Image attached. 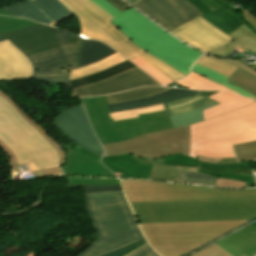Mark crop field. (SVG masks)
Here are the masks:
<instances>
[{"instance_id": "28ad6ade", "label": "crop field", "mask_w": 256, "mask_h": 256, "mask_svg": "<svg viewBox=\"0 0 256 256\" xmlns=\"http://www.w3.org/2000/svg\"><path fill=\"white\" fill-rule=\"evenodd\" d=\"M134 6L169 31L203 15L186 0H140Z\"/></svg>"}, {"instance_id": "5142ce71", "label": "crop field", "mask_w": 256, "mask_h": 256, "mask_svg": "<svg viewBox=\"0 0 256 256\" xmlns=\"http://www.w3.org/2000/svg\"><path fill=\"white\" fill-rule=\"evenodd\" d=\"M172 33L205 52L233 40L201 17L179 27Z\"/></svg>"}, {"instance_id": "92a150f3", "label": "crop field", "mask_w": 256, "mask_h": 256, "mask_svg": "<svg viewBox=\"0 0 256 256\" xmlns=\"http://www.w3.org/2000/svg\"><path fill=\"white\" fill-rule=\"evenodd\" d=\"M234 39L233 42L220 46L210 53L215 55L230 56L235 50L241 54H246L248 51L256 52V32L252 30L247 23L243 24L230 35Z\"/></svg>"}, {"instance_id": "eef30255", "label": "crop field", "mask_w": 256, "mask_h": 256, "mask_svg": "<svg viewBox=\"0 0 256 256\" xmlns=\"http://www.w3.org/2000/svg\"><path fill=\"white\" fill-rule=\"evenodd\" d=\"M168 88H163V87L138 88V89L124 92V93L108 95L107 100H108V104L116 103V102L130 101V100H135V99L151 96L153 94L168 90Z\"/></svg>"}, {"instance_id": "03da06ac", "label": "crop field", "mask_w": 256, "mask_h": 256, "mask_svg": "<svg viewBox=\"0 0 256 256\" xmlns=\"http://www.w3.org/2000/svg\"><path fill=\"white\" fill-rule=\"evenodd\" d=\"M215 186L241 188L246 187V184L245 182L239 180L217 178Z\"/></svg>"}, {"instance_id": "0765c3eb", "label": "crop field", "mask_w": 256, "mask_h": 256, "mask_svg": "<svg viewBox=\"0 0 256 256\" xmlns=\"http://www.w3.org/2000/svg\"><path fill=\"white\" fill-rule=\"evenodd\" d=\"M0 7H2L1 0H0Z\"/></svg>"}, {"instance_id": "bd1437ed", "label": "crop field", "mask_w": 256, "mask_h": 256, "mask_svg": "<svg viewBox=\"0 0 256 256\" xmlns=\"http://www.w3.org/2000/svg\"><path fill=\"white\" fill-rule=\"evenodd\" d=\"M197 64L207 67L209 69H212L214 71H217L227 77H230L238 69V67L228 62L214 59V58L208 57L207 55L203 56L197 62Z\"/></svg>"}, {"instance_id": "8a807250", "label": "crop field", "mask_w": 256, "mask_h": 256, "mask_svg": "<svg viewBox=\"0 0 256 256\" xmlns=\"http://www.w3.org/2000/svg\"><path fill=\"white\" fill-rule=\"evenodd\" d=\"M121 181L144 235L163 256H182L256 218V189Z\"/></svg>"}, {"instance_id": "b54c1fbb", "label": "crop field", "mask_w": 256, "mask_h": 256, "mask_svg": "<svg viewBox=\"0 0 256 256\" xmlns=\"http://www.w3.org/2000/svg\"><path fill=\"white\" fill-rule=\"evenodd\" d=\"M235 13L240 15L245 20V22H247L249 24V26L256 31V17H254L253 15L249 14L244 9H241V10L235 12Z\"/></svg>"}, {"instance_id": "dd49c442", "label": "crop field", "mask_w": 256, "mask_h": 256, "mask_svg": "<svg viewBox=\"0 0 256 256\" xmlns=\"http://www.w3.org/2000/svg\"><path fill=\"white\" fill-rule=\"evenodd\" d=\"M111 22L146 52L186 76L190 73L189 67L201 56L131 8Z\"/></svg>"}, {"instance_id": "4177f3b9", "label": "crop field", "mask_w": 256, "mask_h": 256, "mask_svg": "<svg viewBox=\"0 0 256 256\" xmlns=\"http://www.w3.org/2000/svg\"><path fill=\"white\" fill-rule=\"evenodd\" d=\"M102 162L118 177L149 179L152 165L105 161Z\"/></svg>"}, {"instance_id": "733c2abd", "label": "crop field", "mask_w": 256, "mask_h": 256, "mask_svg": "<svg viewBox=\"0 0 256 256\" xmlns=\"http://www.w3.org/2000/svg\"><path fill=\"white\" fill-rule=\"evenodd\" d=\"M256 243V223L191 256H246L243 252Z\"/></svg>"}, {"instance_id": "e1f06a70", "label": "crop field", "mask_w": 256, "mask_h": 256, "mask_svg": "<svg viewBox=\"0 0 256 256\" xmlns=\"http://www.w3.org/2000/svg\"><path fill=\"white\" fill-rule=\"evenodd\" d=\"M150 179L175 181V166L153 165V170Z\"/></svg>"}, {"instance_id": "dbb93151", "label": "crop field", "mask_w": 256, "mask_h": 256, "mask_svg": "<svg viewBox=\"0 0 256 256\" xmlns=\"http://www.w3.org/2000/svg\"><path fill=\"white\" fill-rule=\"evenodd\" d=\"M178 169H182V170H188V171H194L197 172L198 168H194V167H183V166H176V179H177V173H178Z\"/></svg>"}, {"instance_id": "1f2cbd36", "label": "crop field", "mask_w": 256, "mask_h": 256, "mask_svg": "<svg viewBox=\"0 0 256 256\" xmlns=\"http://www.w3.org/2000/svg\"><path fill=\"white\" fill-rule=\"evenodd\" d=\"M139 256H160L152 248L140 254Z\"/></svg>"}, {"instance_id": "34b2d1b8", "label": "crop field", "mask_w": 256, "mask_h": 256, "mask_svg": "<svg viewBox=\"0 0 256 256\" xmlns=\"http://www.w3.org/2000/svg\"><path fill=\"white\" fill-rule=\"evenodd\" d=\"M6 39L33 64L34 79L69 87L68 73H63L62 68L76 65L82 38L65 30L51 29L40 24L0 35V41Z\"/></svg>"}, {"instance_id": "028f5c9d", "label": "crop field", "mask_w": 256, "mask_h": 256, "mask_svg": "<svg viewBox=\"0 0 256 256\" xmlns=\"http://www.w3.org/2000/svg\"><path fill=\"white\" fill-rule=\"evenodd\" d=\"M233 147L240 162L256 158V141Z\"/></svg>"}, {"instance_id": "e52e79f7", "label": "crop field", "mask_w": 256, "mask_h": 256, "mask_svg": "<svg viewBox=\"0 0 256 256\" xmlns=\"http://www.w3.org/2000/svg\"><path fill=\"white\" fill-rule=\"evenodd\" d=\"M62 1L77 15L80 24V36L104 41L130 60L139 56L173 81L186 77L163 61L147 54L129 40L121 30L110 23L114 17L95 3L90 0Z\"/></svg>"}, {"instance_id": "5a996713", "label": "crop field", "mask_w": 256, "mask_h": 256, "mask_svg": "<svg viewBox=\"0 0 256 256\" xmlns=\"http://www.w3.org/2000/svg\"><path fill=\"white\" fill-rule=\"evenodd\" d=\"M103 146L105 148L104 156L127 153H131L134 157L147 159H157L176 153L189 156L190 129L187 126L163 130L125 142Z\"/></svg>"}, {"instance_id": "00972430", "label": "crop field", "mask_w": 256, "mask_h": 256, "mask_svg": "<svg viewBox=\"0 0 256 256\" xmlns=\"http://www.w3.org/2000/svg\"><path fill=\"white\" fill-rule=\"evenodd\" d=\"M209 98L216 100L222 104L209 108L207 110H204L203 111L204 120L254 102L250 99L243 98L230 93H224V92H218L210 96Z\"/></svg>"}, {"instance_id": "cbeb9de0", "label": "crop field", "mask_w": 256, "mask_h": 256, "mask_svg": "<svg viewBox=\"0 0 256 256\" xmlns=\"http://www.w3.org/2000/svg\"><path fill=\"white\" fill-rule=\"evenodd\" d=\"M4 9L17 16L49 25L73 15L59 0H27Z\"/></svg>"}, {"instance_id": "a9b5d70f", "label": "crop field", "mask_w": 256, "mask_h": 256, "mask_svg": "<svg viewBox=\"0 0 256 256\" xmlns=\"http://www.w3.org/2000/svg\"><path fill=\"white\" fill-rule=\"evenodd\" d=\"M114 53L116 52L113 49L101 42L84 40L81 56L75 68L99 62Z\"/></svg>"}, {"instance_id": "5866460e", "label": "crop field", "mask_w": 256, "mask_h": 256, "mask_svg": "<svg viewBox=\"0 0 256 256\" xmlns=\"http://www.w3.org/2000/svg\"><path fill=\"white\" fill-rule=\"evenodd\" d=\"M160 110H164V107L162 104L140 108V109L128 110V111L113 112L109 114L111 118H113V120L116 121V120L136 118L137 117L136 114L160 111Z\"/></svg>"}, {"instance_id": "1d83c4d3", "label": "crop field", "mask_w": 256, "mask_h": 256, "mask_svg": "<svg viewBox=\"0 0 256 256\" xmlns=\"http://www.w3.org/2000/svg\"><path fill=\"white\" fill-rule=\"evenodd\" d=\"M227 81L256 95V77L246 73L240 68L230 78H228Z\"/></svg>"}, {"instance_id": "c21b1889", "label": "crop field", "mask_w": 256, "mask_h": 256, "mask_svg": "<svg viewBox=\"0 0 256 256\" xmlns=\"http://www.w3.org/2000/svg\"><path fill=\"white\" fill-rule=\"evenodd\" d=\"M145 242H147V241L145 240V238H143V239H141V240H138V241H136V242H134V243H131V244H129V245H126V246H124V247H121V248H119V249H117V250H114V251L109 252V253H107V254H105V255H102V256H122V255H124L125 253L129 252L130 250H132V249L138 247L139 245H141V244H143V243H145Z\"/></svg>"}, {"instance_id": "25e5ab78", "label": "crop field", "mask_w": 256, "mask_h": 256, "mask_svg": "<svg viewBox=\"0 0 256 256\" xmlns=\"http://www.w3.org/2000/svg\"><path fill=\"white\" fill-rule=\"evenodd\" d=\"M148 248H150L148 243H145L141 246H139L138 248L130 251L129 253L125 254L124 256H136L140 253H142L143 251L147 250Z\"/></svg>"}, {"instance_id": "750c4746", "label": "crop field", "mask_w": 256, "mask_h": 256, "mask_svg": "<svg viewBox=\"0 0 256 256\" xmlns=\"http://www.w3.org/2000/svg\"><path fill=\"white\" fill-rule=\"evenodd\" d=\"M192 70L197 73H200L201 75H203V76H205V77H207V78H209V79H211V80H213V81H215V82H217V83H219V84H221V85H223V86H225L243 96H246V97L256 100V97L251 95L250 93H248L242 89H239L230 83L225 82L227 77H225L217 72H214L212 70H209V69L199 66L197 64H195L193 66Z\"/></svg>"}, {"instance_id": "3316defc", "label": "crop field", "mask_w": 256, "mask_h": 256, "mask_svg": "<svg viewBox=\"0 0 256 256\" xmlns=\"http://www.w3.org/2000/svg\"><path fill=\"white\" fill-rule=\"evenodd\" d=\"M105 160L124 161V162H137L146 164H158V165H183L199 167L198 172L208 174L213 177H225L232 179H239L246 181L247 186L255 185L254 180L250 179L251 170L247 163L238 164H211L201 162L197 159L190 158L185 155L176 154L170 157L147 160L131 157L128 155H117L103 157Z\"/></svg>"}, {"instance_id": "c035e120", "label": "crop field", "mask_w": 256, "mask_h": 256, "mask_svg": "<svg viewBox=\"0 0 256 256\" xmlns=\"http://www.w3.org/2000/svg\"><path fill=\"white\" fill-rule=\"evenodd\" d=\"M68 187L83 188L84 189V193H90V192H109V191L122 190L121 185H114V186H80V185H69Z\"/></svg>"}, {"instance_id": "d3111659", "label": "crop field", "mask_w": 256, "mask_h": 256, "mask_svg": "<svg viewBox=\"0 0 256 256\" xmlns=\"http://www.w3.org/2000/svg\"><path fill=\"white\" fill-rule=\"evenodd\" d=\"M124 60H126V59H124L122 56H120L117 53L99 63L72 70L70 73V80L100 71L102 69L108 68V67L115 65L119 62H122Z\"/></svg>"}, {"instance_id": "b80d0937", "label": "crop field", "mask_w": 256, "mask_h": 256, "mask_svg": "<svg viewBox=\"0 0 256 256\" xmlns=\"http://www.w3.org/2000/svg\"><path fill=\"white\" fill-rule=\"evenodd\" d=\"M69 184L81 185H113L120 184L117 179L67 178Z\"/></svg>"}, {"instance_id": "5d738f31", "label": "crop field", "mask_w": 256, "mask_h": 256, "mask_svg": "<svg viewBox=\"0 0 256 256\" xmlns=\"http://www.w3.org/2000/svg\"><path fill=\"white\" fill-rule=\"evenodd\" d=\"M91 1L98 4L101 8H103L105 11H107L114 17L117 16L119 13H121L117 9H115L113 6H111L108 2H106L105 0H91Z\"/></svg>"}, {"instance_id": "412701ff", "label": "crop field", "mask_w": 256, "mask_h": 256, "mask_svg": "<svg viewBox=\"0 0 256 256\" xmlns=\"http://www.w3.org/2000/svg\"><path fill=\"white\" fill-rule=\"evenodd\" d=\"M98 238L77 256H100L143 238L123 191L85 194Z\"/></svg>"}, {"instance_id": "ac0d7876", "label": "crop field", "mask_w": 256, "mask_h": 256, "mask_svg": "<svg viewBox=\"0 0 256 256\" xmlns=\"http://www.w3.org/2000/svg\"><path fill=\"white\" fill-rule=\"evenodd\" d=\"M47 131L0 89V148L9 157L10 171L29 163L39 178L65 175L66 156Z\"/></svg>"}, {"instance_id": "447ae74e", "label": "crop field", "mask_w": 256, "mask_h": 256, "mask_svg": "<svg viewBox=\"0 0 256 256\" xmlns=\"http://www.w3.org/2000/svg\"><path fill=\"white\" fill-rule=\"evenodd\" d=\"M251 161H255V162H256V159H254V160H250V161H247V162H251Z\"/></svg>"}, {"instance_id": "bc2a9ffb", "label": "crop field", "mask_w": 256, "mask_h": 256, "mask_svg": "<svg viewBox=\"0 0 256 256\" xmlns=\"http://www.w3.org/2000/svg\"><path fill=\"white\" fill-rule=\"evenodd\" d=\"M67 150V160L63 167L66 175L115 177L98 160L84 156L74 150Z\"/></svg>"}, {"instance_id": "d8731c3e", "label": "crop field", "mask_w": 256, "mask_h": 256, "mask_svg": "<svg viewBox=\"0 0 256 256\" xmlns=\"http://www.w3.org/2000/svg\"><path fill=\"white\" fill-rule=\"evenodd\" d=\"M82 101L102 144L173 128L166 111L140 114L136 119L113 122L108 114L105 96L82 98Z\"/></svg>"}, {"instance_id": "1d79db26", "label": "crop field", "mask_w": 256, "mask_h": 256, "mask_svg": "<svg viewBox=\"0 0 256 256\" xmlns=\"http://www.w3.org/2000/svg\"><path fill=\"white\" fill-rule=\"evenodd\" d=\"M0 14L14 16V15L6 12L3 8H0ZM14 17H17V16H14Z\"/></svg>"}, {"instance_id": "ae1a2a85", "label": "crop field", "mask_w": 256, "mask_h": 256, "mask_svg": "<svg viewBox=\"0 0 256 256\" xmlns=\"http://www.w3.org/2000/svg\"><path fill=\"white\" fill-rule=\"evenodd\" d=\"M178 84H181L189 89H194V90H219V91H224V92H231L235 93L233 91H230L208 79L205 77L195 73L192 71V75L189 77L176 82Z\"/></svg>"}, {"instance_id": "120bbe31", "label": "crop field", "mask_w": 256, "mask_h": 256, "mask_svg": "<svg viewBox=\"0 0 256 256\" xmlns=\"http://www.w3.org/2000/svg\"><path fill=\"white\" fill-rule=\"evenodd\" d=\"M37 24L39 23H35L30 20L0 16V34L23 29Z\"/></svg>"}, {"instance_id": "0bd39190", "label": "crop field", "mask_w": 256, "mask_h": 256, "mask_svg": "<svg viewBox=\"0 0 256 256\" xmlns=\"http://www.w3.org/2000/svg\"><path fill=\"white\" fill-rule=\"evenodd\" d=\"M133 63H135L137 66H139L141 69L147 71L153 78L157 79L160 83L166 85L173 81L165 77L163 74L155 70L153 67H151L149 64H147L145 61L140 59L139 57L132 60ZM146 72V73H147Z\"/></svg>"}, {"instance_id": "f4fd0767", "label": "crop field", "mask_w": 256, "mask_h": 256, "mask_svg": "<svg viewBox=\"0 0 256 256\" xmlns=\"http://www.w3.org/2000/svg\"><path fill=\"white\" fill-rule=\"evenodd\" d=\"M190 128L191 157H237L232 145L256 140V103L191 125Z\"/></svg>"}, {"instance_id": "d23c7cc5", "label": "crop field", "mask_w": 256, "mask_h": 256, "mask_svg": "<svg viewBox=\"0 0 256 256\" xmlns=\"http://www.w3.org/2000/svg\"><path fill=\"white\" fill-rule=\"evenodd\" d=\"M222 60H226V61H229L237 66H239L240 68H242L243 70L251 73L252 75L256 76V70L248 67L246 64H244L242 61H238V60H233V59H223V58H220Z\"/></svg>"}, {"instance_id": "d1516ede", "label": "crop field", "mask_w": 256, "mask_h": 256, "mask_svg": "<svg viewBox=\"0 0 256 256\" xmlns=\"http://www.w3.org/2000/svg\"><path fill=\"white\" fill-rule=\"evenodd\" d=\"M53 126L69 140L102 156V146L92 130L83 106L65 109L55 118Z\"/></svg>"}, {"instance_id": "425ffa30", "label": "crop field", "mask_w": 256, "mask_h": 256, "mask_svg": "<svg viewBox=\"0 0 256 256\" xmlns=\"http://www.w3.org/2000/svg\"><path fill=\"white\" fill-rule=\"evenodd\" d=\"M106 1H108L111 5H113L115 8H117L121 12H123L125 9L130 7L122 0H106Z\"/></svg>"}, {"instance_id": "dafd665d", "label": "crop field", "mask_w": 256, "mask_h": 256, "mask_svg": "<svg viewBox=\"0 0 256 256\" xmlns=\"http://www.w3.org/2000/svg\"><path fill=\"white\" fill-rule=\"evenodd\" d=\"M196 92H199V91L171 89L148 98H144L136 101L124 102V103L110 104L108 105V107L110 112L134 109V108L145 107V106L178 100L180 98L194 94Z\"/></svg>"}, {"instance_id": "73cf0c24", "label": "crop field", "mask_w": 256, "mask_h": 256, "mask_svg": "<svg viewBox=\"0 0 256 256\" xmlns=\"http://www.w3.org/2000/svg\"><path fill=\"white\" fill-rule=\"evenodd\" d=\"M203 2H205L209 7L210 9L213 11L217 8H223L222 6H220L219 4H217V2H215L214 0H202ZM222 4L224 3L223 0H219ZM204 3V4H205Z\"/></svg>"}, {"instance_id": "4a817a6b", "label": "crop field", "mask_w": 256, "mask_h": 256, "mask_svg": "<svg viewBox=\"0 0 256 256\" xmlns=\"http://www.w3.org/2000/svg\"><path fill=\"white\" fill-rule=\"evenodd\" d=\"M32 64L8 40L0 42V80L32 78Z\"/></svg>"}, {"instance_id": "89e229c0", "label": "crop field", "mask_w": 256, "mask_h": 256, "mask_svg": "<svg viewBox=\"0 0 256 256\" xmlns=\"http://www.w3.org/2000/svg\"><path fill=\"white\" fill-rule=\"evenodd\" d=\"M76 147H77L78 150L84 152L86 155H88V156H90V157L96 158V159H98V160H99L100 157H101V156H99V155H97V154H95V153H93V152H91V151H88V150H86V149H84V148H82V147H80V146H77V145H76Z\"/></svg>"}, {"instance_id": "22f410ed", "label": "crop field", "mask_w": 256, "mask_h": 256, "mask_svg": "<svg viewBox=\"0 0 256 256\" xmlns=\"http://www.w3.org/2000/svg\"><path fill=\"white\" fill-rule=\"evenodd\" d=\"M144 85L161 86L148 74L135 67L125 73L113 76L104 81L90 84L81 88L72 89V95L93 96L100 94H109L126 91Z\"/></svg>"}, {"instance_id": "730fd06b", "label": "crop field", "mask_w": 256, "mask_h": 256, "mask_svg": "<svg viewBox=\"0 0 256 256\" xmlns=\"http://www.w3.org/2000/svg\"><path fill=\"white\" fill-rule=\"evenodd\" d=\"M133 67H135V65H133L128 60H126L122 63H119L115 66H112V67L102 70L100 72L94 73L92 75L82 77L79 79H75V80H71L70 81L71 87L77 88V87H81V86H84V85H87V84H90L93 82L101 81V80L111 77L113 75L125 72Z\"/></svg>"}, {"instance_id": "d32e631a", "label": "crop field", "mask_w": 256, "mask_h": 256, "mask_svg": "<svg viewBox=\"0 0 256 256\" xmlns=\"http://www.w3.org/2000/svg\"><path fill=\"white\" fill-rule=\"evenodd\" d=\"M215 180L216 178L210 177L205 174L179 170L177 182H187L214 186Z\"/></svg>"}, {"instance_id": "214f88e0", "label": "crop field", "mask_w": 256, "mask_h": 256, "mask_svg": "<svg viewBox=\"0 0 256 256\" xmlns=\"http://www.w3.org/2000/svg\"><path fill=\"white\" fill-rule=\"evenodd\" d=\"M187 1L192 3L200 12L205 14L201 16L203 19L210 22L227 35L245 23L241 17L236 15L233 11L228 10L227 8L218 9L212 12L201 0Z\"/></svg>"}, {"instance_id": "9d1cf04e", "label": "crop field", "mask_w": 256, "mask_h": 256, "mask_svg": "<svg viewBox=\"0 0 256 256\" xmlns=\"http://www.w3.org/2000/svg\"><path fill=\"white\" fill-rule=\"evenodd\" d=\"M129 2H131L132 4L135 2V1H137V0H128ZM130 3V4H131Z\"/></svg>"}, {"instance_id": "d9b57169", "label": "crop field", "mask_w": 256, "mask_h": 256, "mask_svg": "<svg viewBox=\"0 0 256 256\" xmlns=\"http://www.w3.org/2000/svg\"><path fill=\"white\" fill-rule=\"evenodd\" d=\"M217 104L220 103L194 94L164 106L173 126L176 127L203 121L202 110Z\"/></svg>"}, {"instance_id": "0fb4a251", "label": "crop field", "mask_w": 256, "mask_h": 256, "mask_svg": "<svg viewBox=\"0 0 256 256\" xmlns=\"http://www.w3.org/2000/svg\"><path fill=\"white\" fill-rule=\"evenodd\" d=\"M248 256H255L256 255V244L249 248L247 251L244 252Z\"/></svg>"}]
</instances>
